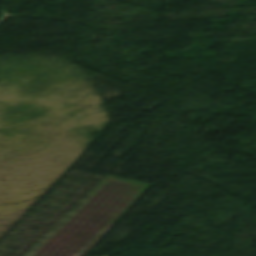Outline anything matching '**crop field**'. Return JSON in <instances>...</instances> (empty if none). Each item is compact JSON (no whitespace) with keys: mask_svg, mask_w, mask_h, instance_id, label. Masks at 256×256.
I'll list each match as a JSON object with an SVG mask.
<instances>
[{"mask_svg":"<svg viewBox=\"0 0 256 256\" xmlns=\"http://www.w3.org/2000/svg\"><path fill=\"white\" fill-rule=\"evenodd\" d=\"M148 187L107 176L34 256H82Z\"/></svg>","mask_w":256,"mask_h":256,"instance_id":"obj_1","label":"crop field"}]
</instances>
